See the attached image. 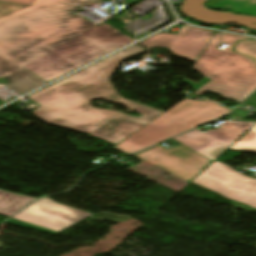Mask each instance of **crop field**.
Masks as SVG:
<instances>
[{
    "label": "crop field",
    "instance_id": "22f410ed",
    "mask_svg": "<svg viewBox=\"0 0 256 256\" xmlns=\"http://www.w3.org/2000/svg\"><path fill=\"white\" fill-rule=\"evenodd\" d=\"M212 7L256 15V0H223Z\"/></svg>",
    "mask_w": 256,
    "mask_h": 256
},
{
    "label": "crop field",
    "instance_id": "8a807250",
    "mask_svg": "<svg viewBox=\"0 0 256 256\" xmlns=\"http://www.w3.org/2000/svg\"><path fill=\"white\" fill-rule=\"evenodd\" d=\"M142 52L145 51L133 45L27 96L41 105L32 113L51 125L88 132L116 145L163 113L119 97L108 81L119 61ZM93 99H109L137 110L142 116L135 118L121 112L93 108L89 104Z\"/></svg>",
    "mask_w": 256,
    "mask_h": 256
},
{
    "label": "crop field",
    "instance_id": "34b2d1b8",
    "mask_svg": "<svg viewBox=\"0 0 256 256\" xmlns=\"http://www.w3.org/2000/svg\"><path fill=\"white\" fill-rule=\"evenodd\" d=\"M251 39L223 34L222 43L230 44L223 51L216 49L220 44V33H216L193 68L211 81L194 92L201 95L208 91L240 103L256 89V65L250 58L230 51L238 40Z\"/></svg>",
    "mask_w": 256,
    "mask_h": 256
},
{
    "label": "crop field",
    "instance_id": "d9b57169",
    "mask_svg": "<svg viewBox=\"0 0 256 256\" xmlns=\"http://www.w3.org/2000/svg\"><path fill=\"white\" fill-rule=\"evenodd\" d=\"M28 5L0 0V18L16 12Z\"/></svg>",
    "mask_w": 256,
    "mask_h": 256
},
{
    "label": "crop field",
    "instance_id": "412701ff",
    "mask_svg": "<svg viewBox=\"0 0 256 256\" xmlns=\"http://www.w3.org/2000/svg\"><path fill=\"white\" fill-rule=\"evenodd\" d=\"M132 41L104 23L23 68L47 82Z\"/></svg>",
    "mask_w": 256,
    "mask_h": 256
},
{
    "label": "crop field",
    "instance_id": "5a996713",
    "mask_svg": "<svg viewBox=\"0 0 256 256\" xmlns=\"http://www.w3.org/2000/svg\"><path fill=\"white\" fill-rule=\"evenodd\" d=\"M91 215L45 198L30 205L13 219L61 232Z\"/></svg>",
    "mask_w": 256,
    "mask_h": 256
},
{
    "label": "crop field",
    "instance_id": "e52e79f7",
    "mask_svg": "<svg viewBox=\"0 0 256 256\" xmlns=\"http://www.w3.org/2000/svg\"><path fill=\"white\" fill-rule=\"evenodd\" d=\"M133 156L159 166L186 182L191 181L212 162L181 144L170 149L158 145Z\"/></svg>",
    "mask_w": 256,
    "mask_h": 256
},
{
    "label": "crop field",
    "instance_id": "5142ce71",
    "mask_svg": "<svg viewBox=\"0 0 256 256\" xmlns=\"http://www.w3.org/2000/svg\"><path fill=\"white\" fill-rule=\"evenodd\" d=\"M236 52L256 59V41H245L238 43L236 45Z\"/></svg>",
    "mask_w": 256,
    "mask_h": 256
},
{
    "label": "crop field",
    "instance_id": "ac0d7876",
    "mask_svg": "<svg viewBox=\"0 0 256 256\" xmlns=\"http://www.w3.org/2000/svg\"><path fill=\"white\" fill-rule=\"evenodd\" d=\"M98 0H35L0 19V52L7 57L81 19L74 12Z\"/></svg>",
    "mask_w": 256,
    "mask_h": 256
},
{
    "label": "crop field",
    "instance_id": "92a150f3",
    "mask_svg": "<svg viewBox=\"0 0 256 256\" xmlns=\"http://www.w3.org/2000/svg\"><path fill=\"white\" fill-rule=\"evenodd\" d=\"M209 81L210 80L203 77L198 83H195V82H192V81H189V80H183L181 82L186 83V84L192 86L195 89H198Z\"/></svg>",
    "mask_w": 256,
    "mask_h": 256
},
{
    "label": "crop field",
    "instance_id": "733c2abd",
    "mask_svg": "<svg viewBox=\"0 0 256 256\" xmlns=\"http://www.w3.org/2000/svg\"><path fill=\"white\" fill-rule=\"evenodd\" d=\"M0 199H4V200H8V201L26 205L29 202L33 201L35 198L22 196V195L14 194V193L7 192L4 190H0Z\"/></svg>",
    "mask_w": 256,
    "mask_h": 256
},
{
    "label": "crop field",
    "instance_id": "3316defc",
    "mask_svg": "<svg viewBox=\"0 0 256 256\" xmlns=\"http://www.w3.org/2000/svg\"><path fill=\"white\" fill-rule=\"evenodd\" d=\"M214 35V32L183 25L176 35L160 32L138 44L147 49L167 47L177 55L196 61Z\"/></svg>",
    "mask_w": 256,
    "mask_h": 256
},
{
    "label": "crop field",
    "instance_id": "28ad6ade",
    "mask_svg": "<svg viewBox=\"0 0 256 256\" xmlns=\"http://www.w3.org/2000/svg\"><path fill=\"white\" fill-rule=\"evenodd\" d=\"M94 28L96 27L93 23L82 18L81 20L27 48L26 50L12 56L10 59L23 67L40 56L64 45L65 43Z\"/></svg>",
    "mask_w": 256,
    "mask_h": 256
},
{
    "label": "crop field",
    "instance_id": "d1516ede",
    "mask_svg": "<svg viewBox=\"0 0 256 256\" xmlns=\"http://www.w3.org/2000/svg\"><path fill=\"white\" fill-rule=\"evenodd\" d=\"M2 77L10 81L7 85L8 88L21 94L46 83L23 68Z\"/></svg>",
    "mask_w": 256,
    "mask_h": 256
},
{
    "label": "crop field",
    "instance_id": "dafd665d",
    "mask_svg": "<svg viewBox=\"0 0 256 256\" xmlns=\"http://www.w3.org/2000/svg\"><path fill=\"white\" fill-rule=\"evenodd\" d=\"M244 104L256 107V92L250 97L248 98Z\"/></svg>",
    "mask_w": 256,
    "mask_h": 256
},
{
    "label": "crop field",
    "instance_id": "cbeb9de0",
    "mask_svg": "<svg viewBox=\"0 0 256 256\" xmlns=\"http://www.w3.org/2000/svg\"><path fill=\"white\" fill-rule=\"evenodd\" d=\"M229 149L256 153V125L247 134L236 141Z\"/></svg>",
    "mask_w": 256,
    "mask_h": 256
},
{
    "label": "crop field",
    "instance_id": "214f88e0",
    "mask_svg": "<svg viewBox=\"0 0 256 256\" xmlns=\"http://www.w3.org/2000/svg\"><path fill=\"white\" fill-rule=\"evenodd\" d=\"M6 224L25 227V228H29V229H33V230L53 234V235H56L58 233V232H55V231H52V230H48V229H45V228H42V227H38V226L31 225V224L23 223V222L16 221V220H13V219L9 220Z\"/></svg>",
    "mask_w": 256,
    "mask_h": 256
},
{
    "label": "crop field",
    "instance_id": "dd49c442",
    "mask_svg": "<svg viewBox=\"0 0 256 256\" xmlns=\"http://www.w3.org/2000/svg\"><path fill=\"white\" fill-rule=\"evenodd\" d=\"M192 183L256 208V180L235 172L224 163L215 161Z\"/></svg>",
    "mask_w": 256,
    "mask_h": 256
},
{
    "label": "crop field",
    "instance_id": "bc2a9ffb",
    "mask_svg": "<svg viewBox=\"0 0 256 256\" xmlns=\"http://www.w3.org/2000/svg\"><path fill=\"white\" fill-rule=\"evenodd\" d=\"M21 68L15 62L0 53V76Z\"/></svg>",
    "mask_w": 256,
    "mask_h": 256
},
{
    "label": "crop field",
    "instance_id": "4a817a6b",
    "mask_svg": "<svg viewBox=\"0 0 256 256\" xmlns=\"http://www.w3.org/2000/svg\"><path fill=\"white\" fill-rule=\"evenodd\" d=\"M23 207V205L0 200V215L9 217L21 210Z\"/></svg>",
    "mask_w": 256,
    "mask_h": 256
},
{
    "label": "crop field",
    "instance_id": "a9b5d70f",
    "mask_svg": "<svg viewBox=\"0 0 256 256\" xmlns=\"http://www.w3.org/2000/svg\"><path fill=\"white\" fill-rule=\"evenodd\" d=\"M219 1H221V0H211L209 3H207L206 6H209V7H210V6L216 4V3L219 2Z\"/></svg>",
    "mask_w": 256,
    "mask_h": 256
},
{
    "label": "crop field",
    "instance_id": "00972430",
    "mask_svg": "<svg viewBox=\"0 0 256 256\" xmlns=\"http://www.w3.org/2000/svg\"><path fill=\"white\" fill-rule=\"evenodd\" d=\"M8 1L20 2V3H25V4L31 5V3H32L34 0H8Z\"/></svg>",
    "mask_w": 256,
    "mask_h": 256
},
{
    "label": "crop field",
    "instance_id": "f4fd0767",
    "mask_svg": "<svg viewBox=\"0 0 256 256\" xmlns=\"http://www.w3.org/2000/svg\"><path fill=\"white\" fill-rule=\"evenodd\" d=\"M217 104L212 101L201 102L185 99L128 139H124L125 141L116 145L115 148L131 154L231 112V109Z\"/></svg>",
    "mask_w": 256,
    "mask_h": 256
},
{
    "label": "crop field",
    "instance_id": "d8731c3e",
    "mask_svg": "<svg viewBox=\"0 0 256 256\" xmlns=\"http://www.w3.org/2000/svg\"><path fill=\"white\" fill-rule=\"evenodd\" d=\"M255 124L243 121H225L219 125L221 127L217 130L210 129L207 133H203L200 130L205 128L195 129L173 139L213 161ZM227 125L230 127H226Z\"/></svg>",
    "mask_w": 256,
    "mask_h": 256
}]
</instances>
